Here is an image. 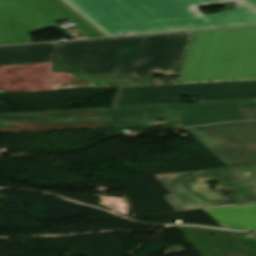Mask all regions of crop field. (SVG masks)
<instances>
[{
  "mask_svg": "<svg viewBox=\"0 0 256 256\" xmlns=\"http://www.w3.org/2000/svg\"><path fill=\"white\" fill-rule=\"evenodd\" d=\"M255 90L256 81L121 88L113 107L171 104L177 96H200L199 101L254 99Z\"/></svg>",
  "mask_w": 256,
  "mask_h": 256,
  "instance_id": "e52e79f7",
  "label": "crop field"
},
{
  "mask_svg": "<svg viewBox=\"0 0 256 256\" xmlns=\"http://www.w3.org/2000/svg\"><path fill=\"white\" fill-rule=\"evenodd\" d=\"M97 110L103 127L148 125L151 120L161 119H171L173 123L181 127L256 119V101L135 106Z\"/></svg>",
  "mask_w": 256,
  "mask_h": 256,
  "instance_id": "412701ff",
  "label": "crop field"
},
{
  "mask_svg": "<svg viewBox=\"0 0 256 256\" xmlns=\"http://www.w3.org/2000/svg\"><path fill=\"white\" fill-rule=\"evenodd\" d=\"M102 127L101 122L93 121H80V123L70 122H57V123H40V124H27V125H0V133L6 132H24V131H41V130H59V129H76V128H94Z\"/></svg>",
  "mask_w": 256,
  "mask_h": 256,
  "instance_id": "22f410ed",
  "label": "crop field"
},
{
  "mask_svg": "<svg viewBox=\"0 0 256 256\" xmlns=\"http://www.w3.org/2000/svg\"><path fill=\"white\" fill-rule=\"evenodd\" d=\"M156 176L172 194L165 198L177 210L231 204L220 191H211L207 181L212 180L231 186L234 193L226 195L234 204L256 202V196L229 169Z\"/></svg>",
  "mask_w": 256,
  "mask_h": 256,
  "instance_id": "dd49c442",
  "label": "crop field"
},
{
  "mask_svg": "<svg viewBox=\"0 0 256 256\" xmlns=\"http://www.w3.org/2000/svg\"><path fill=\"white\" fill-rule=\"evenodd\" d=\"M53 62L0 66V89L6 92L55 89V82L94 83L73 74L50 73Z\"/></svg>",
  "mask_w": 256,
  "mask_h": 256,
  "instance_id": "5a996713",
  "label": "crop field"
},
{
  "mask_svg": "<svg viewBox=\"0 0 256 256\" xmlns=\"http://www.w3.org/2000/svg\"><path fill=\"white\" fill-rule=\"evenodd\" d=\"M76 120L100 119L96 109L74 110Z\"/></svg>",
  "mask_w": 256,
  "mask_h": 256,
  "instance_id": "5142ce71",
  "label": "crop field"
},
{
  "mask_svg": "<svg viewBox=\"0 0 256 256\" xmlns=\"http://www.w3.org/2000/svg\"><path fill=\"white\" fill-rule=\"evenodd\" d=\"M206 210L224 228L256 231V204Z\"/></svg>",
  "mask_w": 256,
  "mask_h": 256,
  "instance_id": "28ad6ade",
  "label": "crop field"
},
{
  "mask_svg": "<svg viewBox=\"0 0 256 256\" xmlns=\"http://www.w3.org/2000/svg\"><path fill=\"white\" fill-rule=\"evenodd\" d=\"M57 43L0 46V65L53 61Z\"/></svg>",
  "mask_w": 256,
  "mask_h": 256,
  "instance_id": "3316defc",
  "label": "crop field"
},
{
  "mask_svg": "<svg viewBox=\"0 0 256 256\" xmlns=\"http://www.w3.org/2000/svg\"><path fill=\"white\" fill-rule=\"evenodd\" d=\"M254 98H256V92H255Z\"/></svg>",
  "mask_w": 256,
  "mask_h": 256,
  "instance_id": "d9b57169",
  "label": "crop field"
},
{
  "mask_svg": "<svg viewBox=\"0 0 256 256\" xmlns=\"http://www.w3.org/2000/svg\"><path fill=\"white\" fill-rule=\"evenodd\" d=\"M194 32L59 42L51 72L74 73L94 86L151 83L178 76Z\"/></svg>",
  "mask_w": 256,
  "mask_h": 256,
  "instance_id": "8a807250",
  "label": "crop field"
},
{
  "mask_svg": "<svg viewBox=\"0 0 256 256\" xmlns=\"http://www.w3.org/2000/svg\"><path fill=\"white\" fill-rule=\"evenodd\" d=\"M256 194V166L231 169Z\"/></svg>",
  "mask_w": 256,
  "mask_h": 256,
  "instance_id": "cbeb9de0",
  "label": "crop field"
},
{
  "mask_svg": "<svg viewBox=\"0 0 256 256\" xmlns=\"http://www.w3.org/2000/svg\"><path fill=\"white\" fill-rule=\"evenodd\" d=\"M227 167L256 165V122L187 128Z\"/></svg>",
  "mask_w": 256,
  "mask_h": 256,
  "instance_id": "d8731c3e",
  "label": "crop field"
},
{
  "mask_svg": "<svg viewBox=\"0 0 256 256\" xmlns=\"http://www.w3.org/2000/svg\"><path fill=\"white\" fill-rule=\"evenodd\" d=\"M75 120L73 110L0 114V124H26Z\"/></svg>",
  "mask_w": 256,
  "mask_h": 256,
  "instance_id": "d1516ede",
  "label": "crop field"
},
{
  "mask_svg": "<svg viewBox=\"0 0 256 256\" xmlns=\"http://www.w3.org/2000/svg\"><path fill=\"white\" fill-rule=\"evenodd\" d=\"M256 78V27L195 32L178 82Z\"/></svg>",
  "mask_w": 256,
  "mask_h": 256,
  "instance_id": "34b2d1b8",
  "label": "crop field"
},
{
  "mask_svg": "<svg viewBox=\"0 0 256 256\" xmlns=\"http://www.w3.org/2000/svg\"><path fill=\"white\" fill-rule=\"evenodd\" d=\"M108 36L256 24L245 6L198 15L191 8L238 1L256 12V0H63Z\"/></svg>",
  "mask_w": 256,
  "mask_h": 256,
  "instance_id": "ac0d7876",
  "label": "crop field"
},
{
  "mask_svg": "<svg viewBox=\"0 0 256 256\" xmlns=\"http://www.w3.org/2000/svg\"><path fill=\"white\" fill-rule=\"evenodd\" d=\"M64 18L87 38L104 37L59 0H0V44L30 43L29 33Z\"/></svg>",
  "mask_w": 256,
  "mask_h": 256,
  "instance_id": "f4fd0767",
  "label": "crop field"
}]
</instances>
